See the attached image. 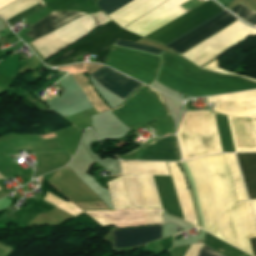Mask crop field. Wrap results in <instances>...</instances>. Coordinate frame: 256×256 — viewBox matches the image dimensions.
Returning <instances> with one entry per match:
<instances>
[{
	"mask_svg": "<svg viewBox=\"0 0 256 256\" xmlns=\"http://www.w3.org/2000/svg\"><path fill=\"white\" fill-rule=\"evenodd\" d=\"M162 224V210L147 209L146 225Z\"/></svg>",
	"mask_w": 256,
	"mask_h": 256,
	"instance_id": "23",
	"label": "crop field"
},
{
	"mask_svg": "<svg viewBox=\"0 0 256 256\" xmlns=\"http://www.w3.org/2000/svg\"><path fill=\"white\" fill-rule=\"evenodd\" d=\"M226 115L256 114V90L208 97ZM183 160L222 152L213 112H186L177 132Z\"/></svg>",
	"mask_w": 256,
	"mask_h": 256,
	"instance_id": "2",
	"label": "crop field"
},
{
	"mask_svg": "<svg viewBox=\"0 0 256 256\" xmlns=\"http://www.w3.org/2000/svg\"><path fill=\"white\" fill-rule=\"evenodd\" d=\"M122 174L169 175L165 162L120 161Z\"/></svg>",
	"mask_w": 256,
	"mask_h": 256,
	"instance_id": "14",
	"label": "crop field"
},
{
	"mask_svg": "<svg viewBox=\"0 0 256 256\" xmlns=\"http://www.w3.org/2000/svg\"><path fill=\"white\" fill-rule=\"evenodd\" d=\"M229 11H231L233 14H235L246 23L253 26L256 25V11L253 12L241 4Z\"/></svg>",
	"mask_w": 256,
	"mask_h": 256,
	"instance_id": "21",
	"label": "crop field"
},
{
	"mask_svg": "<svg viewBox=\"0 0 256 256\" xmlns=\"http://www.w3.org/2000/svg\"><path fill=\"white\" fill-rule=\"evenodd\" d=\"M223 11H225V10L222 9L220 6H218L216 3H214L212 0H207L205 3L201 4L200 6L196 7L195 9L186 13L185 15L179 17L178 19L172 21L171 23L165 25L164 27L158 29L157 31L151 33L150 35L146 36L145 38L155 40L164 45V44L170 42L171 40L179 37L180 35L186 33L187 31L193 29L194 27L209 20L210 18L218 15L219 13H221ZM225 13H227V12L225 11V12L219 14L218 16L210 19L209 21L203 23L202 25L196 27L195 29H193V30L187 32L186 34L180 36L179 38L171 41L170 43L166 44L165 46L175 42L176 40L184 37L185 35L193 32L194 30L200 28L201 26L209 23L210 21L218 18L219 16H221ZM231 17H233V16H231L230 14L227 13L167 47H169L170 49H172L174 51V50L178 49L179 47L185 45L186 43L190 42L191 40L202 35L203 33L214 28L215 26L221 24L222 22L226 21L227 19H229ZM234 20H236V18H234V17L229 19L228 21L222 23L221 25L210 30L209 32L205 33L204 35H202V36L198 37L197 39L193 40L192 42L186 44L185 46L181 47L180 49L176 50L175 52L178 54L185 52L192 46L203 41L205 38L211 36L212 34L219 31L220 29H223L225 26L232 23Z\"/></svg>",
	"mask_w": 256,
	"mask_h": 256,
	"instance_id": "3",
	"label": "crop field"
},
{
	"mask_svg": "<svg viewBox=\"0 0 256 256\" xmlns=\"http://www.w3.org/2000/svg\"><path fill=\"white\" fill-rule=\"evenodd\" d=\"M1 189V188H0Z\"/></svg>",
	"mask_w": 256,
	"mask_h": 256,
	"instance_id": "30",
	"label": "crop field"
},
{
	"mask_svg": "<svg viewBox=\"0 0 256 256\" xmlns=\"http://www.w3.org/2000/svg\"><path fill=\"white\" fill-rule=\"evenodd\" d=\"M43 7H44L43 3H40V4L32 7L30 9H28V10H26V11H24V12H22V13L16 15V16H14V17L6 20V21L8 22L9 26H11L14 22L22 19L23 17H25V16H27V15H29V14H31V13H33V12H35V11L41 9V8H43Z\"/></svg>",
	"mask_w": 256,
	"mask_h": 256,
	"instance_id": "24",
	"label": "crop field"
},
{
	"mask_svg": "<svg viewBox=\"0 0 256 256\" xmlns=\"http://www.w3.org/2000/svg\"><path fill=\"white\" fill-rule=\"evenodd\" d=\"M115 45L155 54L161 52L145 45L118 40ZM161 54L164 61L157 81L183 94L208 96L256 88V83L199 69L178 55L164 51ZM159 61L157 56L111 46L105 64L149 85L157 72Z\"/></svg>",
	"mask_w": 256,
	"mask_h": 256,
	"instance_id": "1",
	"label": "crop field"
},
{
	"mask_svg": "<svg viewBox=\"0 0 256 256\" xmlns=\"http://www.w3.org/2000/svg\"><path fill=\"white\" fill-rule=\"evenodd\" d=\"M214 115L223 152H235L227 117L217 113Z\"/></svg>",
	"mask_w": 256,
	"mask_h": 256,
	"instance_id": "17",
	"label": "crop field"
},
{
	"mask_svg": "<svg viewBox=\"0 0 256 256\" xmlns=\"http://www.w3.org/2000/svg\"><path fill=\"white\" fill-rule=\"evenodd\" d=\"M249 240L253 251V255L256 256V238H251Z\"/></svg>",
	"mask_w": 256,
	"mask_h": 256,
	"instance_id": "27",
	"label": "crop field"
},
{
	"mask_svg": "<svg viewBox=\"0 0 256 256\" xmlns=\"http://www.w3.org/2000/svg\"><path fill=\"white\" fill-rule=\"evenodd\" d=\"M163 209L174 216L183 218L181 208L170 176H153Z\"/></svg>",
	"mask_w": 256,
	"mask_h": 256,
	"instance_id": "13",
	"label": "crop field"
},
{
	"mask_svg": "<svg viewBox=\"0 0 256 256\" xmlns=\"http://www.w3.org/2000/svg\"><path fill=\"white\" fill-rule=\"evenodd\" d=\"M202 69H206V70H210V71H214V72H218V73H222V74L234 75V76H238V77L244 78L246 80H249L251 82H256V80H254V79H250V78L240 76L237 74L228 73L226 71L219 69L216 59L214 61H212L211 63L207 64L206 66H204Z\"/></svg>",
	"mask_w": 256,
	"mask_h": 256,
	"instance_id": "25",
	"label": "crop field"
},
{
	"mask_svg": "<svg viewBox=\"0 0 256 256\" xmlns=\"http://www.w3.org/2000/svg\"><path fill=\"white\" fill-rule=\"evenodd\" d=\"M203 243L221 252L225 256H241L244 252L206 233Z\"/></svg>",
	"mask_w": 256,
	"mask_h": 256,
	"instance_id": "20",
	"label": "crop field"
},
{
	"mask_svg": "<svg viewBox=\"0 0 256 256\" xmlns=\"http://www.w3.org/2000/svg\"><path fill=\"white\" fill-rule=\"evenodd\" d=\"M148 207H161L152 176H138ZM162 208V207H161Z\"/></svg>",
	"mask_w": 256,
	"mask_h": 256,
	"instance_id": "18",
	"label": "crop field"
},
{
	"mask_svg": "<svg viewBox=\"0 0 256 256\" xmlns=\"http://www.w3.org/2000/svg\"><path fill=\"white\" fill-rule=\"evenodd\" d=\"M102 12L78 18L60 29L31 42L34 48L46 59L66 46L78 41L96 27L107 22Z\"/></svg>",
	"mask_w": 256,
	"mask_h": 256,
	"instance_id": "6",
	"label": "crop field"
},
{
	"mask_svg": "<svg viewBox=\"0 0 256 256\" xmlns=\"http://www.w3.org/2000/svg\"><path fill=\"white\" fill-rule=\"evenodd\" d=\"M161 238V225L113 231L114 248L136 246Z\"/></svg>",
	"mask_w": 256,
	"mask_h": 256,
	"instance_id": "11",
	"label": "crop field"
},
{
	"mask_svg": "<svg viewBox=\"0 0 256 256\" xmlns=\"http://www.w3.org/2000/svg\"><path fill=\"white\" fill-rule=\"evenodd\" d=\"M90 75L94 77L104 88L124 99L139 88L140 85H142L105 66L101 67Z\"/></svg>",
	"mask_w": 256,
	"mask_h": 256,
	"instance_id": "9",
	"label": "crop field"
},
{
	"mask_svg": "<svg viewBox=\"0 0 256 256\" xmlns=\"http://www.w3.org/2000/svg\"><path fill=\"white\" fill-rule=\"evenodd\" d=\"M253 117H254L255 128H256V115H253Z\"/></svg>",
	"mask_w": 256,
	"mask_h": 256,
	"instance_id": "28",
	"label": "crop field"
},
{
	"mask_svg": "<svg viewBox=\"0 0 256 256\" xmlns=\"http://www.w3.org/2000/svg\"><path fill=\"white\" fill-rule=\"evenodd\" d=\"M131 0H99L96 4L106 15L117 10ZM166 0H133L118 9L109 17L120 26L131 23Z\"/></svg>",
	"mask_w": 256,
	"mask_h": 256,
	"instance_id": "7",
	"label": "crop field"
},
{
	"mask_svg": "<svg viewBox=\"0 0 256 256\" xmlns=\"http://www.w3.org/2000/svg\"><path fill=\"white\" fill-rule=\"evenodd\" d=\"M0 178H3V176L0 174Z\"/></svg>",
	"mask_w": 256,
	"mask_h": 256,
	"instance_id": "29",
	"label": "crop field"
},
{
	"mask_svg": "<svg viewBox=\"0 0 256 256\" xmlns=\"http://www.w3.org/2000/svg\"><path fill=\"white\" fill-rule=\"evenodd\" d=\"M40 2L42 0H17L0 9V16L6 20Z\"/></svg>",
	"mask_w": 256,
	"mask_h": 256,
	"instance_id": "19",
	"label": "crop field"
},
{
	"mask_svg": "<svg viewBox=\"0 0 256 256\" xmlns=\"http://www.w3.org/2000/svg\"><path fill=\"white\" fill-rule=\"evenodd\" d=\"M109 111L128 127L148 124L169 115L159 94L143 85L121 106Z\"/></svg>",
	"mask_w": 256,
	"mask_h": 256,
	"instance_id": "5",
	"label": "crop field"
},
{
	"mask_svg": "<svg viewBox=\"0 0 256 256\" xmlns=\"http://www.w3.org/2000/svg\"><path fill=\"white\" fill-rule=\"evenodd\" d=\"M249 198H256V154H236Z\"/></svg>",
	"mask_w": 256,
	"mask_h": 256,
	"instance_id": "15",
	"label": "crop field"
},
{
	"mask_svg": "<svg viewBox=\"0 0 256 256\" xmlns=\"http://www.w3.org/2000/svg\"><path fill=\"white\" fill-rule=\"evenodd\" d=\"M229 171L232 185L236 194L237 201H246L247 195L238 169V165L234 154H223Z\"/></svg>",
	"mask_w": 256,
	"mask_h": 256,
	"instance_id": "16",
	"label": "crop field"
},
{
	"mask_svg": "<svg viewBox=\"0 0 256 256\" xmlns=\"http://www.w3.org/2000/svg\"><path fill=\"white\" fill-rule=\"evenodd\" d=\"M85 14L76 12H53L36 22L32 26L28 27L31 31L24 34L31 39H36L78 17L84 16Z\"/></svg>",
	"mask_w": 256,
	"mask_h": 256,
	"instance_id": "12",
	"label": "crop field"
},
{
	"mask_svg": "<svg viewBox=\"0 0 256 256\" xmlns=\"http://www.w3.org/2000/svg\"><path fill=\"white\" fill-rule=\"evenodd\" d=\"M141 37L134 35L114 22L101 27L94 34L70 47L54 59L45 63L47 66L58 67L76 62L74 58L83 53L96 55L94 62L105 63L110 46L117 40L136 42Z\"/></svg>",
	"mask_w": 256,
	"mask_h": 256,
	"instance_id": "4",
	"label": "crop field"
},
{
	"mask_svg": "<svg viewBox=\"0 0 256 256\" xmlns=\"http://www.w3.org/2000/svg\"><path fill=\"white\" fill-rule=\"evenodd\" d=\"M197 256H221L206 245L203 244L201 250L199 251Z\"/></svg>",
	"mask_w": 256,
	"mask_h": 256,
	"instance_id": "26",
	"label": "crop field"
},
{
	"mask_svg": "<svg viewBox=\"0 0 256 256\" xmlns=\"http://www.w3.org/2000/svg\"><path fill=\"white\" fill-rule=\"evenodd\" d=\"M140 160H179L175 136L154 140L136 151Z\"/></svg>",
	"mask_w": 256,
	"mask_h": 256,
	"instance_id": "10",
	"label": "crop field"
},
{
	"mask_svg": "<svg viewBox=\"0 0 256 256\" xmlns=\"http://www.w3.org/2000/svg\"><path fill=\"white\" fill-rule=\"evenodd\" d=\"M186 1L187 0H168L125 29L144 37L185 14L187 11L179 5Z\"/></svg>",
	"mask_w": 256,
	"mask_h": 256,
	"instance_id": "8",
	"label": "crop field"
},
{
	"mask_svg": "<svg viewBox=\"0 0 256 256\" xmlns=\"http://www.w3.org/2000/svg\"><path fill=\"white\" fill-rule=\"evenodd\" d=\"M175 188L176 189H182L187 188L185 179L180 172L176 162H167Z\"/></svg>",
	"mask_w": 256,
	"mask_h": 256,
	"instance_id": "22",
	"label": "crop field"
}]
</instances>
